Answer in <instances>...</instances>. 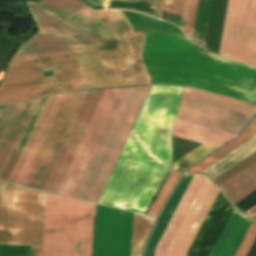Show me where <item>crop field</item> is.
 <instances>
[{"instance_id": "14", "label": "crop field", "mask_w": 256, "mask_h": 256, "mask_svg": "<svg viewBox=\"0 0 256 256\" xmlns=\"http://www.w3.org/2000/svg\"><path fill=\"white\" fill-rule=\"evenodd\" d=\"M250 222L234 208L210 256H233Z\"/></svg>"}, {"instance_id": "29", "label": "crop field", "mask_w": 256, "mask_h": 256, "mask_svg": "<svg viewBox=\"0 0 256 256\" xmlns=\"http://www.w3.org/2000/svg\"><path fill=\"white\" fill-rule=\"evenodd\" d=\"M253 219H256V216Z\"/></svg>"}, {"instance_id": "5", "label": "crop field", "mask_w": 256, "mask_h": 256, "mask_svg": "<svg viewBox=\"0 0 256 256\" xmlns=\"http://www.w3.org/2000/svg\"><path fill=\"white\" fill-rule=\"evenodd\" d=\"M151 86L121 89L72 198L98 202Z\"/></svg>"}, {"instance_id": "17", "label": "crop field", "mask_w": 256, "mask_h": 256, "mask_svg": "<svg viewBox=\"0 0 256 256\" xmlns=\"http://www.w3.org/2000/svg\"><path fill=\"white\" fill-rule=\"evenodd\" d=\"M95 205L79 201L75 256H91Z\"/></svg>"}, {"instance_id": "30", "label": "crop field", "mask_w": 256, "mask_h": 256, "mask_svg": "<svg viewBox=\"0 0 256 256\" xmlns=\"http://www.w3.org/2000/svg\"><path fill=\"white\" fill-rule=\"evenodd\" d=\"M126 1H131V0H126Z\"/></svg>"}, {"instance_id": "9", "label": "crop field", "mask_w": 256, "mask_h": 256, "mask_svg": "<svg viewBox=\"0 0 256 256\" xmlns=\"http://www.w3.org/2000/svg\"><path fill=\"white\" fill-rule=\"evenodd\" d=\"M255 112L253 105L184 87L176 118L237 135Z\"/></svg>"}, {"instance_id": "18", "label": "crop field", "mask_w": 256, "mask_h": 256, "mask_svg": "<svg viewBox=\"0 0 256 256\" xmlns=\"http://www.w3.org/2000/svg\"><path fill=\"white\" fill-rule=\"evenodd\" d=\"M233 204L256 189V162L219 186Z\"/></svg>"}, {"instance_id": "22", "label": "crop field", "mask_w": 256, "mask_h": 256, "mask_svg": "<svg viewBox=\"0 0 256 256\" xmlns=\"http://www.w3.org/2000/svg\"><path fill=\"white\" fill-rule=\"evenodd\" d=\"M255 131H256V119L244 131V133L238 139H236L235 141H233L232 143H230L229 145H227L226 147H224L220 151L216 152L212 156L208 157L207 159H205L201 163L197 164L192 169H190L188 172H192V173L200 172L201 170H203L207 166L211 165L212 163H214L215 161H217L218 159H220L221 157H223L224 155H226L227 153H229L233 149L237 148L238 146H240L241 144L246 142Z\"/></svg>"}, {"instance_id": "2", "label": "crop field", "mask_w": 256, "mask_h": 256, "mask_svg": "<svg viewBox=\"0 0 256 256\" xmlns=\"http://www.w3.org/2000/svg\"><path fill=\"white\" fill-rule=\"evenodd\" d=\"M155 88H151L135 128ZM182 89L157 86L138 129H132L98 203L145 213L171 171L172 126Z\"/></svg>"}, {"instance_id": "13", "label": "crop field", "mask_w": 256, "mask_h": 256, "mask_svg": "<svg viewBox=\"0 0 256 256\" xmlns=\"http://www.w3.org/2000/svg\"><path fill=\"white\" fill-rule=\"evenodd\" d=\"M189 5H190V0H185L182 19H181V25H180V28L183 32L185 31ZM197 5H198V0H191L188 21H187V26L185 31V34L189 39L192 38ZM211 5H212V0H199L192 41L195 40L202 44L205 43Z\"/></svg>"}, {"instance_id": "6", "label": "crop field", "mask_w": 256, "mask_h": 256, "mask_svg": "<svg viewBox=\"0 0 256 256\" xmlns=\"http://www.w3.org/2000/svg\"><path fill=\"white\" fill-rule=\"evenodd\" d=\"M121 88L109 90L88 91L79 112L69 130V133L60 149V152L50 170V173L42 187V191L54 193L76 151V154L56 192L58 195L70 197L86 164V161L93 149V146L100 134V131L107 119V116L114 104V101Z\"/></svg>"}, {"instance_id": "11", "label": "crop field", "mask_w": 256, "mask_h": 256, "mask_svg": "<svg viewBox=\"0 0 256 256\" xmlns=\"http://www.w3.org/2000/svg\"><path fill=\"white\" fill-rule=\"evenodd\" d=\"M78 201L48 194L41 256H74Z\"/></svg>"}, {"instance_id": "15", "label": "crop field", "mask_w": 256, "mask_h": 256, "mask_svg": "<svg viewBox=\"0 0 256 256\" xmlns=\"http://www.w3.org/2000/svg\"><path fill=\"white\" fill-rule=\"evenodd\" d=\"M215 149L216 148L203 145L198 149H196L195 151L191 152L190 154L186 155L185 157L181 158L177 162L173 163L172 170L182 172L184 169L191 166L192 164H194L204 156L208 155ZM174 171H171V173L168 175L165 184L163 185L162 189L159 191L154 203L152 204L149 211L147 212L148 215H154V216L157 215L162 203L165 201L172 187L174 186L177 179L181 175L180 172H174Z\"/></svg>"}, {"instance_id": "3", "label": "crop field", "mask_w": 256, "mask_h": 256, "mask_svg": "<svg viewBox=\"0 0 256 256\" xmlns=\"http://www.w3.org/2000/svg\"><path fill=\"white\" fill-rule=\"evenodd\" d=\"M124 81L122 54L106 48L14 60L0 85V103L115 87Z\"/></svg>"}, {"instance_id": "19", "label": "crop field", "mask_w": 256, "mask_h": 256, "mask_svg": "<svg viewBox=\"0 0 256 256\" xmlns=\"http://www.w3.org/2000/svg\"><path fill=\"white\" fill-rule=\"evenodd\" d=\"M193 175H185L180 182L179 186L175 190L169 202L166 204L161 218L149 240L147 245L146 255L145 256H154L155 247L164 232L170 218L172 217L177 205L179 204L185 190L187 189Z\"/></svg>"}, {"instance_id": "27", "label": "crop field", "mask_w": 256, "mask_h": 256, "mask_svg": "<svg viewBox=\"0 0 256 256\" xmlns=\"http://www.w3.org/2000/svg\"><path fill=\"white\" fill-rule=\"evenodd\" d=\"M41 246H30L29 256H40Z\"/></svg>"}, {"instance_id": "25", "label": "crop field", "mask_w": 256, "mask_h": 256, "mask_svg": "<svg viewBox=\"0 0 256 256\" xmlns=\"http://www.w3.org/2000/svg\"><path fill=\"white\" fill-rule=\"evenodd\" d=\"M256 237V222H252L235 256H246Z\"/></svg>"}, {"instance_id": "4", "label": "crop field", "mask_w": 256, "mask_h": 256, "mask_svg": "<svg viewBox=\"0 0 256 256\" xmlns=\"http://www.w3.org/2000/svg\"><path fill=\"white\" fill-rule=\"evenodd\" d=\"M85 94L47 98L8 182L41 189Z\"/></svg>"}, {"instance_id": "7", "label": "crop field", "mask_w": 256, "mask_h": 256, "mask_svg": "<svg viewBox=\"0 0 256 256\" xmlns=\"http://www.w3.org/2000/svg\"><path fill=\"white\" fill-rule=\"evenodd\" d=\"M46 193L0 183V244L41 245Z\"/></svg>"}, {"instance_id": "24", "label": "crop field", "mask_w": 256, "mask_h": 256, "mask_svg": "<svg viewBox=\"0 0 256 256\" xmlns=\"http://www.w3.org/2000/svg\"><path fill=\"white\" fill-rule=\"evenodd\" d=\"M255 204H256V190L234 205L238 209H240L241 211L244 212L247 209H249L250 207L254 206ZM244 213L247 214L251 218L254 217L256 215V205Z\"/></svg>"}, {"instance_id": "26", "label": "crop field", "mask_w": 256, "mask_h": 256, "mask_svg": "<svg viewBox=\"0 0 256 256\" xmlns=\"http://www.w3.org/2000/svg\"><path fill=\"white\" fill-rule=\"evenodd\" d=\"M183 3L184 0H162V11L181 16Z\"/></svg>"}, {"instance_id": "23", "label": "crop field", "mask_w": 256, "mask_h": 256, "mask_svg": "<svg viewBox=\"0 0 256 256\" xmlns=\"http://www.w3.org/2000/svg\"><path fill=\"white\" fill-rule=\"evenodd\" d=\"M255 161H256V152L213 181L219 186Z\"/></svg>"}, {"instance_id": "8", "label": "crop field", "mask_w": 256, "mask_h": 256, "mask_svg": "<svg viewBox=\"0 0 256 256\" xmlns=\"http://www.w3.org/2000/svg\"><path fill=\"white\" fill-rule=\"evenodd\" d=\"M204 176L194 175L180 204L163 233L155 251V256H166L167 247L186 213ZM207 177H204L187 213L176 231L167 250V256H186L199 231L208 211L210 210L218 192Z\"/></svg>"}, {"instance_id": "21", "label": "crop field", "mask_w": 256, "mask_h": 256, "mask_svg": "<svg viewBox=\"0 0 256 256\" xmlns=\"http://www.w3.org/2000/svg\"><path fill=\"white\" fill-rule=\"evenodd\" d=\"M155 217L134 213L131 256H141L143 244Z\"/></svg>"}, {"instance_id": "28", "label": "crop field", "mask_w": 256, "mask_h": 256, "mask_svg": "<svg viewBox=\"0 0 256 256\" xmlns=\"http://www.w3.org/2000/svg\"><path fill=\"white\" fill-rule=\"evenodd\" d=\"M92 5H102L104 4L105 0H84Z\"/></svg>"}, {"instance_id": "12", "label": "crop field", "mask_w": 256, "mask_h": 256, "mask_svg": "<svg viewBox=\"0 0 256 256\" xmlns=\"http://www.w3.org/2000/svg\"><path fill=\"white\" fill-rule=\"evenodd\" d=\"M45 99H46V97L43 98V100L41 98V99H38V101L36 99V100L22 102V103H18V104H14V105H9V106L5 105V107H4V105H0V113L3 109V107H4V109H3V111L0 115V121L3 117V115H4V112L7 108V106H8V108L5 112V115H4V117L1 121V124H0V157L9 158L10 155H11V152H12V150H13V148H14V146H15V144H16V142H17V140H18V138H19V136H20V134H21V132L24 128V125H25V123H26V121H27V119H28L36 101H37L32 113L29 117V120H28V122H27V124H26L20 138H19V141H18V143H17V145H16V147H15V149H14V151H13V153H12L10 159H9V161H8V159L0 158V175H1L6 163L8 161V163H7L5 169H4V171H3V173L0 177L1 181L4 180L6 174H7L8 170L11 166V163H12V161H13V159H14V157H15L18 149H19V146H20V144H21V142H22V140H23V138L26 134V131H27V129H28L33 117H34V114H35V112H36V110H37V108H38V106H39V104L42 100V102H41V104H40V106H39V108H38V110L35 114V117H34L32 123H31L28 131H27V134H26V136H25V138H24V140H23V142L20 146V149H19V151H18V153H17V155H16V157H15L13 163H12V166H11V168H10V170H9L5 180H4L6 182L8 181V179H9V177H10L12 171H13V168H14L17 160H18V157H19V155H20V153H21V151L24 147V144H25V142H26V140L29 136V133H30V131H31V129H32L34 123H35V120H36V118H37V116L40 112V109H41V107H42V105L45 101Z\"/></svg>"}, {"instance_id": "1", "label": "crop field", "mask_w": 256, "mask_h": 256, "mask_svg": "<svg viewBox=\"0 0 256 256\" xmlns=\"http://www.w3.org/2000/svg\"><path fill=\"white\" fill-rule=\"evenodd\" d=\"M39 1L57 10L87 7L79 0ZM26 2L39 33L47 37L75 33L79 36L47 38L37 33L19 48L12 60L106 47L123 53L126 81L120 86L146 84V81L187 85L256 102V68L201 51L196 53V47L179 34L134 33L122 11H94L89 8L57 11L40 2ZM32 4L66 20L98 43L66 21L33 5L44 29L67 26L75 33L67 27L43 30Z\"/></svg>"}, {"instance_id": "20", "label": "crop field", "mask_w": 256, "mask_h": 256, "mask_svg": "<svg viewBox=\"0 0 256 256\" xmlns=\"http://www.w3.org/2000/svg\"><path fill=\"white\" fill-rule=\"evenodd\" d=\"M256 151V132L243 145L233 150L200 173L207 174L212 180Z\"/></svg>"}, {"instance_id": "16", "label": "crop field", "mask_w": 256, "mask_h": 256, "mask_svg": "<svg viewBox=\"0 0 256 256\" xmlns=\"http://www.w3.org/2000/svg\"><path fill=\"white\" fill-rule=\"evenodd\" d=\"M173 132L175 136L216 148L220 147L235 136L176 119L174 121Z\"/></svg>"}, {"instance_id": "10", "label": "crop field", "mask_w": 256, "mask_h": 256, "mask_svg": "<svg viewBox=\"0 0 256 256\" xmlns=\"http://www.w3.org/2000/svg\"><path fill=\"white\" fill-rule=\"evenodd\" d=\"M219 56L256 65V0H229Z\"/></svg>"}]
</instances>
